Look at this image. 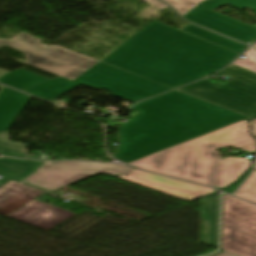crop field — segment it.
<instances>
[{"label":"crop field","instance_id":"1","mask_svg":"<svg viewBox=\"0 0 256 256\" xmlns=\"http://www.w3.org/2000/svg\"><path fill=\"white\" fill-rule=\"evenodd\" d=\"M131 110L138 113L119 126V146L112 155L126 163L248 118L177 90Z\"/></svg>","mask_w":256,"mask_h":256},{"label":"crop field","instance_id":"2","mask_svg":"<svg viewBox=\"0 0 256 256\" xmlns=\"http://www.w3.org/2000/svg\"><path fill=\"white\" fill-rule=\"evenodd\" d=\"M202 40L153 21L102 61L175 88L221 69L238 55Z\"/></svg>","mask_w":256,"mask_h":256},{"label":"crop field","instance_id":"3","mask_svg":"<svg viewBox=\"0 0 256 256\" xmlns=\"http://www.w3.org/2000/svg\"><path fill=\"white\" fill-rule=\"evenodd\" d=\"M225 146L255 154L256 141L248 133V121L243 120L129 164L214 187L222 161L220 152L214 149Z\"/></svg>","mask_w":256,"mask_h":256},{"label":"crop field","instance_id":"4","mask_svg":"<svg viewBox=\"0 0 256 256\" xmlns=\"http://www.w3.org/2000/svg\"><path fill=\"white\" fill-rule=\"evenodd\" d=\"M80 83L94 89H106L132 103L172 89L99 62L74 81L59 77L25 92L50 101Z\"/></svg>","mask_w":256,"mask_h":256},{"label":"crop field","instance_id":"5","mask_svg":"<svg viewBox=\"0 0 256 256\" xmlns=\"http://www.w3.org/2000/svg\"><path fill=\"white\" fill-rule=\"evenodd\" d=\"M219 73L232 78L223 87L201 80L178 90L251 118L256 117V73L236 66Z\"/></svg>","mask_w":256,"mask_h":256},{"label":"crop field","instance_id":"6","mask_svg":"<svg viewBox=\"0 0 256 256\" xmlns=\"http://www.w3.org/2000/svg\"><path fill=\"white\" fill-rule=\"evenodd\" d=\"M40 39L20 34L12 40L0 39V48L11 46L26 54V64L74 80L99 61L60 46H45Z\"/></svg>","mask_w":256,"mask_h":256},{"label":"crop field","instance_id":"7","mask_svg":"<svg viewBox=\"0 0 256 256\" xmlns=\"http://www.w3.org/2000/svg\"><path fill=\"white\" fill-rule=\"evenodd\" d=\"M222 249L256 256V206L224 194Z\"/></svg>","mask_w":256,"mask_h":256},{"label":"crop field","instance_id":"8","mask_svg":"<svg viewBox=\"0 0 256 256\" xmlns=\"http://www.w3.org/2000/svg\"><path fill=\"white\" fill-rule=\"evenodd\" d=\"M226 4L237 10L248 7L256 14V0H206L183 18L238 41L252 44L256 41V27L213 11Z\"/></svg>","mask_w":256,"mask_h":256},{"label":"crop field","instance_id":"9","mask_svg":"<svg viewBox=\"0 0 256 256\" xmlns=\"http://www.w3.org/2000/svg\"><path fill=\"white\" fill-rule=\"evenodd\" d=\"M117 177L187 202L215 191L210 188L149 174L135 169L132 170L128 177L121 175Z\"/></svg>","mask_w":256,"mask_h":256},{"label":"crop field","instance_id":"10","mask_svg":"<svg viewBox=\"0 0 256 256\" xmlns=\"http://www.w3.org/2000/svg\"><path fill=\"white\" fill-rule=\"evenodd\" d=\"M8 217L48 230L74 213L33 200Z\"/></svg>","mask_w":256,"mask_h":256},{"label":"crop field","instance_id":"11","mask_svg":"<svg viewBox=\"0 0 256 256\" xmlns=\"http://www.w3.org/2000/svg\"><path fill=\"white\" fill-rule=\"evenodd\" d=\"M51 167L48 170L62 174L69 178L77 181L86 179L97 173H107L111 175H128L132 168L127 166H120L115 164H101V163H90V162H55L49 164Z\"/></svg>","mask_w":256,"mask_h":256},{"label":"crop field","instance_id":"12","mask_svg":"<svg viewBox=\"0 0 256 256\" xmlns=\"http://www.w3.org/2000/svg\"><path fill=\"white\" fill-rule=\"evenodd\" d=\"M218 192L201 198L199 242L217 248Z\"/></svg>","mask_w":256,"mask_h":256},{"label":"crop field","instance_id":"13","mask_svg":"<svg viewBox=\"0 0 256 256\" xmlns=\"http://www.w3.org/2000/svg\"><path fill=\"white\" fill-rule=\"evenodd\" d=\"M44 192L10 181L0 187V214L7 216Z\"/></svg>","mask_w":256,"mask_h":256},{"label":"crop field","instance_id":"14","mask_svg":"<svg viewBox=\"0 0 256 256\" xmlns=\"http://www.w3.org/2000/svg\"><path fill=\"white\" fill-rule=\"evenodd\" d=\"M30 98L27 95L3 87L0 91V131L8 129Z\"/></svg>","mask_w":256,"mask_h":256},{"label":"crop field","instance_id":"15","mask_svg":"<svg viewBox=\"0 0 256 256\" xmlns=\"http://www.w3.org/2000/svg\"><path fill=\"white\" fill-rule=\"evenodd\" d=\"M42 162L0 158V175L19 181L32 173Z\"/></svg>","mask_w":256,"mask_h":256},{"label":"crop field","instance_id":"16","mask_svg":"<svg viewBox=\"0 0 256 256\" xmlns=\"http://www.w3.org/2000/svg\"><path fill=\"white\" fill-rule=\"evenodd\" d=\"M251 162L252 161L245 158H224L223 167L219 177L217 188H224L237 180L249 168Z\"/></svg>","mask_w":256,"mask_h":256},{"label":"crop field","instance_id":"17","mask_svg":"<svg viewBox=\"0 0 256 256\" xmlns=\"http://www.w3.org/2000/svg\"><path fill=\"white\" fill-rule=\"evenodd\" d=\"M26 182L45 189L55 191L77 181L61 176L46 169L40 170L26 179Z\"/></svg>","mask_w":256,"mask_h":256},{"label":"crop field","instance_id":"18","mask_svg":"<svg viewBox=\"0 0 256 256\" xmlns=\"http://www.w3.org/2000/svg\"><path fill=\"white\" fill-rule=\"evenodd\" d=\"M182 30L200 38L205 41H208L210 43H213L215 45H218L220 47H223L225 49L231 50L233 52H236L240 54L242 51H244L247 46H244L240 43H237L233 40L227 39L225 37L219 36L217 34L208 32L206 30L200 29L196 26H193L191 24L184 27Z\"/></svg>","mask_w":256,"mask_h":256},{"label":"crop field","instance_id":"19","mask_svg":"<svg viewBox=\"0 0 256 256\" xmlns=\"http://www.w3.org/2000/svg\"><path fill=\"white\" fill-rule=\"evenodd\" d=\"M48 79L31 72L18 69L0 78V83L25 91Z\"/></svg>","mask_w":256,"mask_h":256},{"label":"crop field","instance_id":"20","mask_svg":"<svg viewBox=\"0 0 256 256\" xmlns=\"http://www.w3.org/2000/svg\"><path fill=\"white\" fill-rule=\"evenodd\" d=\"M234 195L256 202V170H254Z\"/></svg>","mask_w":256,"mask_h":256},{"label":"crop field","instance_id":"21","mask_svg":"<svg viewBox=\"0 0 256 256\" xmlns=\"http://www.w3.org/2000/svg\"><path fill=\"white\" fill-rule=\"evenodd\" d=\"M170 4L182 16L203 0H163Z\"/></svg>","mask_w":256,"mask_h":256},{"label":"crop field","instance_id":"22","mask_svg":"<svg viewBox=\"0 0 256 256\" xmlns=\"http://www.w3.org/2000/svg\"><path fill=\"white\" fill-rule=\"evenodd\" d=\"M0 153L13 157L9 135L5 132H0Z\"/></svg>","mask_w":256,"mask_h":256},{"label":"crop field","instance_id":"23","mask_svg":"<svg viewBox=\"0 0 256 256\" xmlns=\"http://www.w3.org/2000/svg\"><path fill=\"white\" fill-rule=\"evenodd\" d=\"M14 157L28 158L26 148L22 146V143L11 142Z\"/></svg>","mask_w":256,"mask_h":256},{"label":"crop field","instance_id":"24","mask_svg":"<svg viewBox=\"0 0 256 256\" xmlns=\"http://www.w3.org/2000/svg\"><path fill=\"white\" fill-rule=\"evenodd\" d=\"M232 65H237V66L243 67L245 69H248V70L256 72V62L252 61L250 59H247V58L244 59V60L238 59Z\"/></svg>","mask_w":256,"mask_h":256},{"label":"crop field","instance_id":"25","mask_svg":"<svg viewBox=\"0 0 256 256\" xmlns=\"http://www.w3.org/2000/svg\"><path fill=\"white\" fill-rule=\"evenodd\" d=\"M249 171H250V170H249ZM249 171H248L243 177H241L240 180H239L237 183H235V184H233V185H231V186H229L228 188L223 189V190L226 191V192H228V193H230V194H232V193L234 192V190L239 186V184H240V183L245 179V177L248 175Z\"/></svg>","mask_w":256,"mask_h":256},{"label":"crop field","instance_id":"26","mask_svg":"<svg viewBox=\"0 0 256 256\" xmlns=\"http://www.w3.org/2000/svg\"><path fill=\"white\" fill-rule=\"evenodd\" d=\"M147 3H149L150 5L158 8L159 10H162L166 7H168L167 5L163 4L162 2L158 1V0H143Z\"/></svg>","mask_w":256,"mask_h":256},{"label":"crop field","instance_id":"27","mask_svg":"<svg viewBox=\"0 0 256 256\" xmlns=\"http://www.w3.org/2000/svg\"><path fill=\"white\" fill-rule=\"evenodd\" d=\"M243 56L256 60V50L251 48L249 51H247L245 54H243Z\"/></svg>","mask_w":256,"mask_h":256},{"label":"crop field","instance_id":"28","mask_svg":"<svg viewBox=\"0 0 256 256\" xmlns=\"http://www.w3.org/2000/svg\"><path fill=\"white\" fill-rule=\"evenodd\" d=\"M250 129H251V133L256 138V119L250 122ZM255 161H256V158H255ZM255 161H254V163H255ZM254 163H253V165H254Z\"/></svg>","mask_w":256,"mask_h":256},{"label":"crop field","instance_id":"29","mask_svg":"<svg viewBox=\"0 0 256 256\" xmlns=\"http://www.w3.org/2000/svg\"><path fill=\"white\" fill-rule=\"evenodd\" d=\"M212 256H235V255L230 254V253L224 251V252H222V253H220V254H216V255H212Z\"/></svg>","mask_w":256,"mask_h":256},{"label":"crop field","instance_id":"30","mask_svg":"<svg viewBox=\"0 0 256 256\" xmlns=\"http://www.w3.org/2000/svg\"><path fill=\"white\" fill-rule=\"evenodd\" d=\"M8 180H9V179H6V178L2 177V178L0 179V185H2L3 183L7 182Z\"/></svg>","mask_w":256,"mask_h":256},{"label":"crop field","instance_id":"31","mask_svg":"<svg viewBox=\"0 0 256 256\" xmlns=\"http://www.w3.org/2000/svg\"><path fill=\"white\" fill-rule=\"evenodd\" d=\"M253 47H256V44H255V45H253Z\"/></svg>","mask_w":256,"mask_h":256},{"label":"crop field","instance_id":"32","mask_svg":"<svg viewBox=\"0 0 256 256\" xmlns=\"http://www.w3.org/2000/svg\"><path fill=\"white\" fill-rule=\"evenodd\" d=\"M255 169H256V167H255Z\"/></svg>","mask_w":256,"mask_h":256}]
</instances>
